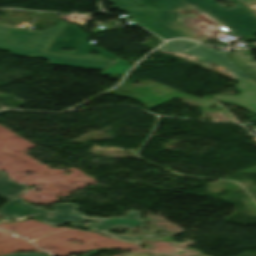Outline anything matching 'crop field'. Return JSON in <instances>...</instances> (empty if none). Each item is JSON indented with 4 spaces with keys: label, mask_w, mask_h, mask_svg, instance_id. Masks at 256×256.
<instances>
[{
    "label": "crop field",
    "mask_w": 256,
    "mask_h": 256,
    "mask_svg": "<svg viewBox=\"0 0 256 256\" xmlns=\"http://www.w3.org/2000/svg\"><path fill=\"white\" fill-rule=\"evenodd\" d=\"M237 81H239V84L235 87L241 91L240 95H212V97L217 101L235 103L256 113V82L252 79Z\"/></svg>",
    "instance_id": "dd49c442"
},
{
    "label": "crop field",
    "mask_w": 256,
    "mask_h": 256,
    "mask_svg": "<svg viewBox=\"0 0 256 256\" xmlns=\"http://www.w3.org/2000/svg\"><path fill=\"white\" fill-rule=\"evenodd\" d=\"M87 37L88 35L83 34L78 26L73 24H66V26L61 31L59 36L55 38V40L49 46L47 51L94 57V58L117 60L113 66L101 72L103 75H106V76H110L112 74L124 75L127 72V70L131 67V65H129L125 60L119 59L117 58V56L105 50L91 46L85 40ZM59 48H73L76 50L73 53H68V52L58 51ZM90 50L99 51L102 57L87 55L90 52Z\"/></svg>",
    "instance_id": "412701ff"
},
{
    "label": "crop field",
    "mask_w": 256,
    "mask_h": 256,
    "mask_svg": "<svg viewBox=\"0 0 256 256\" xmlns=\"http://www.w3.org/2000/svg\"><path fill=\"white\" fill-rule=\"evenodd\" d=\"M10 28H14V29H20V28H15V27H10ZM20 30H24V29H20ZM26 31H28V30H26Z\"/></svg>",
    "instance_id": "cbeb9de0"
},
{
    "label": "crop field",
    "mask_w": 256,
    "mask_h": 256,
    "mask_svg": "<svg viewBox=\"0 0 256 256\" xmlns=\"http://www.w3.org/2000/svg\"><path fill=\"white\" fill-rule=\"evenodd\" d=\"M125 256H149V254H127Z\"/></svg>",
    "instance_id": "28ad6ade"
},
{
    "label": "crop field",
    "mask_w": 256,
    "mask_h": 256,
    "mask_svg": "<svg viewBox=\"0 0 256 256\" xmlns=\"http://www.w3.org/2000/svg\"><path fill=\"white\" fill-rule=\"evenodd\" d=\"M28 187L14 184L10 182L5 174L0 171V197L7 199L20 195Z\"/></svg>",
    "instance_id": "e52e79f7"
},
{
    "label": "crop field",
    "mask_w": 256,
    "mask_h": 256,
    "mask_svg": "<svg viewBox=\"0 0 256 256\" xmlns=\"http://www.w3.org/2000/svg\"><path fill=\"white\" fill-rule=\"evenodd\" d=\"M251 8L256 10V5L251 6Z\"/></svg>",
    "instance_id": "22f410ed"
},
{
    "label": "crop field",
    "mask_w": 256,
    "mask_h": 256,
    "mask_svg": "<svg viewBox=\"0 0 256 256\" xmlns=\"http://www.w3.org/2000/svg\"><path fill=\"white\" fill-rule=\"evenodd\" d=\"M59 21L55 27L39 32H26L0 25V49L12 54L36 56L49 59V64L104 70L115 61L43 53L55 35L64 26Z\"/></svg>",
    "instance_id": "34b2d1b8"
},
{
    "label": "crop field",
    "mask_w": 256,
    "mask_h": 256,
    "mask_svg": "<svg viewBox=\"0 0 256 256\" xmlns=\"http://www.w3.org/2000/svg\"><path fill=\"white\" fill-rule=\"evenodd\" d=\"M158 50L185 53L196 57L202 62L218 64L230 71L237 79L250 78L229 57H227L229 52H219L199 43L186 40H174L168 42Z\"/></svg>",
    "instance_id": "f4fd0767"
},
{
    "label": "crop field",
    "mask_w": 256,
    "mask_h": 256,
    "mask_svg": "<svg viewBox=\"0 0 256 256\" xmlns=\"http://www.w3.org/2000/svg\"><path fill=\"white\" fill-rule=\"evenodd\" d=\"M123 10H124V9H123ZM124 11L127 12L129 15H131L130 12H128L127 10H124Z\"/></svg>",
    "instance_id": "5142ce71"
},
{
    "label": "crop field",
    "mask_w": 256,
    "mask_h": 256,
    "mask_svg": "<svg viewBox=\"0 0 256 256\" xmlns=\"http://www.w3.org/2000/svg\"><path fill=\"white\" fill-rule=\"evenodd\" d=\"M254 39H256V38H251V39H246V40H243V41H250V40H254Z\"/></svg>",
    "instance_id": "d1516ede"
},
{
    "label": "crop field",
    "mask_w": 256,
    "mask_h": 256,
    "mask_svg": "<svg viewBox=\"0 0 256 256\" xmlns=\"http://www.w3.org/2000/svg\"><path fill=\"white\" fill-rule=\"evenodd\" d=\"M14 203L35 212V214L13 205ZM76 207L77 206L71 203L56 204L53 207L55 211L48 212L42 208L30 206L24 203L22 199L15 197V198H12L9 202H7L5 205H3L0 208V211H1L0 214L4 215V219L2 221L25 219L31 216L50 225H61L68 221H72V225H81L82 221L97 222L96 226L91 228L92 231L103 233L107 237L131 242V243H140L139 239L128 237L121 234L116 236L114 234L107 233L106 231L112 229L113 227L143 226L142 224L143 219L138 218L139 214L142 211L129 210L123 218L96 219V218H87L84 216V214L73 211V209ZM48 213H51L53 216L51 218L47 217L46 215Z\"/></svg>",
    "instance_id": "ac0d7876"
},
{
    "label": "crop field",
    "mask_w": 256,
    "mask_h": 256,
    "mask_svg": "<svg viewBox=\"0 0 256 256\" xmlns=\"http://www.w3.org/2000/svg\"><path fill=\"white\" fill-rule=\"evenodd\" d=\"M5 256H45L40 253H14V254H9Z\"/></svg>",
    "instance_id": "5a996713"
},
{
    "label": "crop field",
    "mask_w": 256,
    "mask_h": 256,
    "mask_svg": "<svg viewBox=\"0 0 256 256\" xmlns=\"http://www.w3.org/2000/svg\"><path fill=\"white\" fill-rule=\"evenodd\" d=\"M230 56L256 80V62L253 59L242 50H234Z\"/></svg>",
    "instance_id": "d8731c3e"
},
{
    "label": "crop field",
    "mask_w": 256,
    "mask_h": 256,
    "mask_svg": "<svg viewBox=\"0 0 256 256\" xmlns=\"http://www.w3.org/2000/svg\"><path fill=\"white\" fill-rule=\"evenodd\" d=\"M242 1H244L248 5L256 3V0H242Z\"/></svg>",
    "instance_id": "3316defc"
},
{
    "label": "crop field",
    "mask_w": 256,
    "mask_h": 256,
    "mask_svg": "<svg viewBox=\"0 0 256 256\" xmlns=\"http://www.w3.org/2000/svg\"><path fill=\"white\" fill-rule=\"evenodd\" d=\"M115 6L132 13L138 24L158 34L164 39L185 37L171 24L174 13L195 6L202 12L212 15L236 34L247 37L256 33V16L238 0H232L239 7L227 10L212 0H110Z\"/></svg>",
    "instance_id": "8a807250"
}]
</instances>
